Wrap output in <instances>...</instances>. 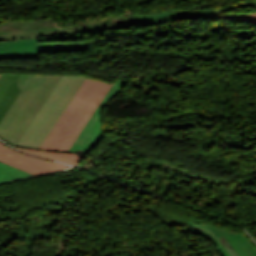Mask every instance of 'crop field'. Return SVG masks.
Segmentation results:
<instances>
[{"label": "crop field", "instance_id": "crop-field-5", "mask_svg": "<svg viewBox=\"0 0 256 256\" xmlns=\"http://www.w3.org/2000/svg\"><path fill=\"white\" fill-rule=\"evenodd\" d=\"M84 31V27H64L50 18L33 21H9L0 24V40H12L25 37H36L50 33H68Z\"/></svg>", "mask_w": 256, "mask_h": 256}, {"label": "crop field", "instance_id": "crop-field-8", "mask_svg": "<svg viewBox=\"0 0 256 256\" xmlns=\"http://www.w3.org/2000/svg\"><path fill=\"white\" fill-rule=\"evenodd\" d=\"M200 232H202L210 241L216 244L224 256H231L216 236H223L239 256H256V250L250 243L239 233L234 234L208 225L190 223Z\"/></svg>", "mask_w": 256, "mask_h": 256}, {"label": "crop field", "instance_id": "crop-field-10", "mask_svg": "<svg viewBox=\"0 0 256 256\" xmlns=\"http://www.w3.org/2000/svg\"><path fill=\"white\" fill-rule=\"evenodd\" d=\"M237 7H255V10H256V2L244 1V2L237 3L235 6L227 7V8L216 10V11L201 12L195 15L182 16V15H178V13H173V12L159 13L151 16L141 15L139 16L137 23H140L143 25H154V24L167 22L169 20L177 19V18L211 16L215 14H220L228 10L235 9Z\"/></svg>", "mask_w": 256, "mask_h": 256}, {"label": "crop field", "instance_id": "crop-field-1", "mask_svg": "<svg viewBox=\"0 0 256 256\" xmlns=\"http://www.w3.org/2000/svg\"><path fill=\"white\" fill-rule=\"evenodd\" d=\"M111 85L87 77L40 149L67 152Z\"/></svg>", "mask_w": 256, "mask_h": 256}, {"label": "crop field", "instance_id": "crop-field-13", "mask_svg": "<svg viewBox=\"0 0 256 256\" xmlns=\"http://www.w3.org/2000/svg\"><path fill=\"white\" fill-rule=\"evenodd\" d=\"M212 19H226V20H239L246 21L250 23H256V12L255 13H237V14H227L219 15L215 17H210Z\"/></svg>", "mask_w": 256, "mask_h": 256}, {"label": "crop field", "instance_id": "crop-field-11", "mask_svg": "<svg viewBox=\"0 0 256 256\" xmlns=\"http://www.w3.org/2000/svg\"><path fill=\"white\" fill-rule=\"evenodd\" d=\"M14 148L26 153L46 157L49 159H53V160H57V161H61V162H65L73 165H76L80 161V159L84 156V155L71 154V153L32 150V149H23V148H17V147H14Z\"/></svg>", "mask_w": 256, "mask_h": 256}, {"label": "crop field", "instance_id": "crop-field-12", "mask_svg": "<svg viewBox=\"0 0 256 256\" xmlns=\"http://www.w3.org/2000/svg\"><path fill=\"white\" fill-rule=\"evenodd\" d=\"M28 175H30V173H27L20 169L0 163V182L27 177Z\"/></svg>", "mask_w": 256, "mask_h": 256}, {"label": "crop field", "instance_id": "crop-field-9", "mask_svg": "<svg viewBox=\"0 0 256 256\" xmlns=\"http://www.w3.org/2000/svg\"><path fill=\"white\" fill-rule=\"evenodd\" d=\"M31 75L0 76V121L27 84Z\"/></svg>", "mask_w": 256, "mask_h": 256}, {"label": "crop field", "instance_id": "crop-field-7", "mask_svg": "<svg viewBox=\"0 0 256 256\" xmlns=\"http://www.w3.org/2000/svg\"><path fill=\"white\" fill-rule=\"evenodd\" d=\"M0 161L32 174H40L70 166L21 154L0 142Z\"/></svg>", "mask_w": 256, "mask_h": 256}, {"label": "crop field", "instance_id": "crop-field-4", "mask_svg": "<svg viewBox=\"0 0 256 256\" xmlns=\"http://www.w3.org/2000/svg\"><path fill=\"white\" fill-rule=\"evenodd\" d=\"M82 33L43 36L34 39L0 41V60L38 58L40 52L84 51L89 42L39 43L46 40L81 38Z\"/></svg>", "mask_w": 256, "mask_h": 256}, {"label": "crop field", "instance_id": "crop-field-15", "mask_svg": "<svg viewBox=\"0 0 256 256\" xmlns=\"http://www.w3.org/2000/svg\"><path fill=\"white\" fill-rule=\"evenodd\" d=\"M218 238L232 256H238L237 253L231 248V246L225 241L223 237H218Z\"/></svg>", "mask_w": 256, "mask_h": 256}, {"label": "crop field", "instance_id": "crop-field-2", "mask_svg": "<svg viewBox=\"0 0 256 256\" xmlns=\"http://www.w3.org/2000/svg\"><path fill=\"white\" fill-rule=\"evenodd\" d=\"M85 78V76L63 75L16 146L39 149L80 89Z\"/></svg>", "mask_w": 256, "mask_h": 256}, {"label": "crop field", "instance_id": "crop-field-3", "mask_svg": "<svg viewBox=\"0 0 256 256\" xmlns=\"http://www.w3.org/2000/svg\"><path fill=\"white\" fill-rule=\"evenodd\" d=\"M62 75H32L0 123V138L15 146Z\"/></svg>", "mask_w": 256, "mask_h": 256}, {"label": "crop field", "instance_id": "crop-field-14", "mask_svg": "<svg viewBox=\"0 0 256 256\" xmlns=\"http://www.w3.org/2000/svg\"><path fill=\"white\" fill-rule=\"evenodd\" d=\"M127 24H117V25H104L101 27H85V31L100 30V29H112V28H124Z\"/></svg>", "mask_w": 256, "mask_h": 256}, {"label": "crop field", "instance_id": "crop-field-6", "mask_svg": "<svg viewBox=\"0 0 256 256\" xmlns=\"http://www.w3.org/2000/svg\"><path fill=\"white\" fill-rule=\"evenodd\" d=\"M127 82V80H123L118 78L115 83H113L112 87L105 95L100 105L85 125L71 148L68 152L71 153H79V154H87V152L94 147L103 137V127L101 121L100 110L116 95L119 93L120 88Z\"/></svg>", "mask_w": 256, "mask_h": 256}]
</instances>
